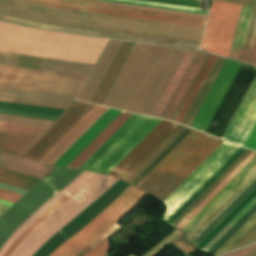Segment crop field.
Segmentation results:
<instances>
[{
	"instance_id": "8a807250",
	"label": "crop field",
	"mask_w": 256,
	"mask_h": 256,
	"mask_svg": "<svg viewBox=\"0 0 256 256\" xmlns=\"http://www.w3.org/2000/svg\"><path fill=\"white\" fill-rule=\"evenodd\" d=\"M0 13L51 25L199 44L204 29L0 0Z\"/></svg>"
},
{
	"instance_id": "ac0d7876",
	"label": "crop field",
	"mask_w": 256,
	"mask_h": 256,
	"mask_svg": "<svg viewBox=\"0 0 256 256\" xmlns=\"http://www.w3.org/2000/svg\"><path fill=\"white\" fill-rule=\"evenodd\" d=\"M98 174L83 171L62 191L51 197L40 206L7 240L0 248V256L10 248L11 244L46 210L62 197H71L85 187ZM117 179L99 174L85 188L69 198L45 219H43L27 237L10 253L9 256H32L57 231L65 226L89 204L101 196Z\"/></svg>"
},
{
	"instance_id": "34b2d1b8",
	"label": "crop field",
	"mask_w": 256,
	"mask_h": 256,
	"mask_svg": "<svg viewBox=\"0 0 256 256\" xmlns=\"http://www.w3.org/2000/svg\"><path fill=\"white\" fill-rule=\"evenodd\" d=\"M86 77L0 65V100L66 109Z\"/></svg>"
},
{
	"instance_id": "412701ff",
	"label": "crop field",
	"mask_w": 256,
	"mask_h": 256,
	"mask_svg": "<svg viewBox=\"0 0 256 256\" xmlns=\"http://www.w3.org/2000/svg\"><path fill=\"white\" fill-rule=\"evenodd\" d=\"M222 142L193 130L137 188L164 201Z\"/></svg>"
},
{
	"instance_id": "f4fd0767",
	"label": "crop field",
	"mask_w": 256,
	"mask_h": 256,
	"mask_svg": "<svg viewBox=\"0 0 256 256\" xmlns=\"http://www.w3.org/2000/svg\"><path fill=\"white\" fill-rule=\"evenodd\" d=\"M160 121L133 114L79 169L107 174Z\"/></svg>"
},
{
	"instance_id": "dd49c442",
	"label": "crop field",
	"mask_w": 256,
	"mask_h": 256,
	"mask_svg": "<svg viewBox=\"0 0 256 256\" xmlns=\"http://www.w3.org/2000/svg\"><path fill=\"white\" fill-rule=\"evenodd\" d=\"M146 193L130 186L85 227L49 256H76L84 247L122 218Z\"/></svg>"
},
{
	"instance_id": "e52e79f7",
	"label": "crop field",
	"mask_w": 256,
	"mask_h": 256,
	"mask_svg": "<svg viewBox=\"0 0 256 256\" xmlns=\"http://www.w3.org/2000/svg\"><path fill=\"white\" fill-rule=\"evenodd\" d=\"M241 6L240 4L213 1L201 50L228 57Z\"/></svg>"
},
{
	"instance_id": "d8731c3e",
	"label": "crop field",
	"mask_w": 256,
	"mask_h": 256,
	"mask_svg": "<svg viewBox=\"0 0 256 256\" xmlns=\"http://www.w3.org/2000/svg\"><path fill=\"white\" fill-rule=\"evenodd\" d=\"M52 7L80 10L122 17H130L172 24H180L204 28L206 19L181 15L158 13L144 10L121 8L107 5L84 3L70 0H24Z\"/></svg>"
},
{
	"instance_id": "5a996713",
	"label": "crop field",
	"mask_w": 256,
	"mask_h": 256,
	"mask_svg": "<svg viewBox=\"0 0 256 256\" xmlns=\"http://www.w3.org/2000/svg\"><path fill=\"white\" fill-rule=\"evenodd\" d=\"M239 146L224 141L164 202L165 220L204 183Z\"/></svg>"
},
{
	"instance_id": "3316defc",
	"label": "crop field",
	"mask_w": 256,
	"mask_h": 256,
	"mask_svg": "<svg viewBox=\"0 0 256 256\" xmlns=\"http://www.w3.org/2000/svg\"><path fill=\"white\" fill-rule=\"evenodd\" d=\"M94 107L75 101L21 156L40 161Z\"/></svg>"
},
{
	"instance_id": "28ad6ade",
	"label": "crop field",
	"mask_w": 256,
	"mask_h": 256,
	"mask_svg": "<svg viewBox=\"0 0 256 256\" xmlns=\"http://www.w3.org/2000/svg\"><path fill=\"white\" fill-rule=\"evenodd\" d=\"M240 66L241 63L226 59L217 78L193 119L190 128L204 132Z\"/></svg>"
},
{
	"instance_id": "d1516ede",
	"label": "crop field",
	"mask_w": 256,
	"mask_h": 256,
	"mask_svg": "<svg viewBox=\"0 0 256 256\" xmlns=\"http://www.w3.org/2000/svg\"><path fill=\"white\" fill-rule=\"evenodd\" d=\"M178 124L162 120L108 175L123 180L150 152H152Z\"/></svg>"
},
{
	"instance_id": "22f410ed",
	"label": "crop field",
	"mask_w": 256,
	"mask_h": 256,
	"mask_svg": "<svg viewBox=\"0 0 256 256\" xmlns=\"http://www.w3.org/2000/svg\"><path fill=\"white\" fill-rule=\"evenodd\" d=\"M256 122V77L235 112L222 139L243 146Z\"/></svg>"
},
{
	"instance_id": "cbeb9de0",
	"label": "crop field",
	"mask_w": 256,
	"mask_h": 256,
	"mask_svg": "<svg viewBox=\"0 0 256 256\" xmlns=\"http://www.w3.org/2000/svg\"><path fill=\"white\" fill-rule=\"evenodd\" d=\"M255 171L256 156L219 193H217L180 231L188 238Z\"/></svg>"
},
{
	"instance_id": "5142ce71",
	"label": "crop field",
	"mask_w": 256,
	"mask_h": 256,
	"mask_svg": "<svg viewBox=\"0 0 256 256\" xmlns=\"http://www.w3.org/2000/svg\"><path fill=\"white\" fill-rule=\"evenodd\" d=\"M191 131L179 125L124 181L136 187Z\"/></svg>"
},
{
	"instance_id": "d9b57169",
	"label": "crop field",
	"mask_w": 256,
	"mask_h": 256,
	"mask_svg": "<svg viewBox=\"0 0 256 256\" xmlns=\"http://www.w3.org/2000/svg\"><path fill=\"white\" fill-rule=\"evenodd\" d=\"M0 59L14 60V62L9 60H0V64L11 65L13 62L12 65L14 66L28 68L31 59L40 60L41 58L8 54V53H0ZM36 60L31 61L29 68L88 76L90 70L93 67V65L91 64H83V63L60 61V60L45 59V58H42L41 61H36Z\"/></svg>"
},
{
	"instance_id": "733c2abd",
	"label": "crop field",
	"mask_w": 256,
	"mask_h": 256,
	"mask_svg": "<svg viewBox=\"0 0 256 256\" xmlns=\"http://www.w3.org/2000/svg\"><path fill=\"white\" fill-rule=\"evenodd\" d=\"M108 109L96 106L69 134H67L41 161L53 164L80 136H82Z\"/></svg>"
},
{
	"instance_id": "4a817a6b",
	"label": "crop field",
	"mask_w": 256,
	"mask_h": 256,
	"mask_svg": "<svg viewBox=\"0 0 256 256\" xmlns=\"http://www.w3.org/2000/svg\"><path fill=\"white\" fill-rule=\"evenodd\" d=\"M0 19L12 21V22H16V23H21V24H25V25H30V26H34V27H39V28H43V29H49V30L65 31V32H72V33L103 36V37L118 38V39H125V40H133V41H141V42L156 43V44H163V45L194 48V49H198V46H199L196 44H188V43L142 38V37H135V36L120 35V34L89 31V30H82V29L51 26V25H45V24L36 23V22L28 21V20H23V19H19V18L6 16V15H1V14H0Z\"/></svg>"
},
{
	"instance_id": "bc2a9ffb",
	"label": "crop field",
	"mask_w": 256,
	"mask_h": 256,
	"mask_svg": "<svg viewBox=\"0 0 256 256\" xmlns=\"http://www.w3.org/2000/svg\"><path fill=\"white\" fill-rule=\"evenodd\" d=\"M120 112L109 109L54 165L66 167Z\"/></svg>"
},
{
	"instance_id": "214f88e0",
	"label": "crop field",
	"mask_w": 256,
	"mask_h": 256,
	"mask_svg": "<svg viewBox=\"0 0 256 256\" xmlns=\"http://www.w3.org/2000/svg\"><path fill=\"white\" fill-rule=\"evenodd\" d=\"M207 54L197 51L191 64L189 65L186 73L172 95L169 103L163 111L161 117L172 120L175 112L177 111L181 101L183 100L186 92L188 91L191 83L193 82L196 74L198 73L202 63L204 62Z\"/></svg>"
},
{
	"instance_id": "92a150f3",
	"label": "crop field",
	"mask_w": 256,
	"mask_h": 256,
	"mask_svg": "<svg viewBox=\"0 0 256 256\" xmlns=\"http://www.w3.org/2000/svg\"><path fill=\"white\" fill-rule=\"evenodd\" d=\"M0 167L16 170L40 179L55 168L45 163L32 161L3 151H0Z\"/></svg>"
},
{
	"instance_id": "dafd665d",
	"label": "crop field",
	"mask_w": 256,
	"mask_h": 256,
	"mask_svg": "<svg viewBox=\"0 0 256 256\" xmlns=\"http://www.w3.org/2000/svg\"><path fill=\"white\" fill-rule=\"evenodd\" d=\"M131 115L122 111L67 167L78 169Z\"/></svg>"
},
{
	"instance_id": "00972430",
	"label": "crop field",
	"mask_w": 256,
	"mask_h": 256,
	"mask_svg": "<svg viewBox=\"0 0 256 256\" xmlns=\"http://www.w3.org/2000/svg\"><path fill=\"white\" fill-rule=\"evenodd\" d=\"M133 45L134 43L123 42L110 68L108 69L96 93L94 94L91 103L101 105L104 97L106 96L109 88L111 87L114 79L116 78Z\"/></svg>"
},
{
	"instance_id": "a9b5d70f",
	"label": "crop field",
	"mask_w": 256,
	"mask_h": 256,
	"mask_svg": "<svg viewBox=\"0 0 256 256\" xmlns=\"http://www.w3.org/2000/svg\"><path fill=\"white\" fill-rule=\"evenodd\" d=\"M195 53L196 51L186 50L169 83L167 84L160 99L158 100L156 106L154 107L151 113L152 116L160 117L162 111L164 110L166 104L168 103L171 95L173 94L175 88L177 87L179 81L181 80Z\"/></svg>"
},
{
	"instance_id": "4177f3b9",
	"label": "crop field",
	"mask_w": 256,
	"mask_h": 256,
	"mask_svg": "<svg viewBox=\"0 0 256 256\" xmlns=\"http://www.w3.org/2000/svg\"><path fill=\"white\" fill-rule=\"evenodd\" d=\"M240 147L166 222L170 225L209 187L211 186L244 152Z\"/></svg>"
},
{
	"instance_id": "730fd06b",
	"label": "crop field",
	"mask_w": 256,
	"mask_h": 256,
	"mask_svg": "<svg viewBox=\"0 0 256 256\" xmlns=\"http://www.w3.org/2000/svg\"><path fill=\"white\" fill-rule=\"evenodd\" d=\"M256 241V213L214 254L217 256L227 250Z\"/></svg>"
},
{
	"instance_id": "eef30255",
	"label": "crop field",
	"mask_w": 256,
	"mask_h": 256,
	"mask_svg": "<svg viewBox=\"0 0 256 256\" xmlns=\"http://www.w3.org/2000/svg\"><path fill=\"white\" fill-rule=\"evenodd\" d=\"M225 59L224 58H220L217 57L214 65L212 66L208 76L206 77L203 85L201 86L198 94L196 95L193 103L191 104L187 114L185 115L182 124H185L187 126H189L192 118L194 117L197 109L199 108L201 102L203 101L206 93L208 92L211 84L213 83L216 75L218 74L220 68L222 67L223 63H224Z\"/></svg>"
},
{
	"instance_id": "ae1a2a85",
	"label": "crop field",
	"mask_w": 256,
	"mask_h": 256,
	"mask_svg": "<svg viewBox=\"0 0 256 256\" xmlns=\"http://www.w3.org/2000/svg\"><path fill=\"white\" fill-rule=\"evenodd\" d=\"M251 6H242L241 14L237 24L236 32L232 42L229 59L239 60L240 52L242 49L243 41L245 38L246 30L248 27L249 19L252 12Z\"/></svg>"
},
{
	"instance_id": "d3111659",
	"label": "crop field",
	"mask_w": 256,
	"mask_h": 256,
	"mask_svg": "<svg viewBox=\"0 0 256 256\" xmlns=\"http://www.w3.org/2000/svg\"><path fill=\"white\" fill-rule=\"evenodd\" d=\"M216 59V56H213L211 54H209L205 64L203 65L200 73L198 74L194 84L192 85L189 93L187 94L183 104L181 105L178 113L176 114L174 121H177L179 123H181L184 115L186 114L190 104L192 103L195 95L197 94L200 86L202 85L205 77L207 76L211 66L213 65L214 61Z\"/></svg>"
},
{
	"instance_id": "750c4746",
	"label": "crop field",
	"mask_w": 256,
	"mask_h": 256,
	"mask_svg": "<svg viewBox=\"0 0 256 256\" xmlns=\"http://www.w3.org/2000/svg\"><path fill=\"white\" fill-rule=\"evenodd\" d=\"M36 137L0 132V150L20 154Z\"/></svg>"
},
{
	"instance_id": "bd1437ed",
	"label": "crop field",
	"mask_w": 256,
	"mask_h": 256,
	"mask_svg": "<svg viewBox=\"0 0 256 256\" xmlns=\"http://www.w3.org/2000/svg\"><path fill=\"white\" fill-rule=\"evenodd\" d=\"M39 181L40 179L32 178L12 170L0 168V182L2 183L29 191Z\"/></svg>"
},
{
	"instance_id": "1d83c4d3",
	"label": "crop field",
	"mask_w": 256,
	"mask_h": 256,
	"mask_svg": "<svg viewBox=\"0 0 256 256\" xmlns=\"http://www.w3.org/2000/svg\"><path fill=\"white\" fill-rule=\"evenodd\" d=\"M252 152L215 190H213L176 228L179 230L218 192L220 191L254 156Z\"/></svg>"
},
{
	"instance_id": "120bbe31",
	"label": "crop field",
	"mask_w": 256,
	"mask_h": 256,
	"mask_svg": "<svg viewBox=\"0 0 256 256\" xmlns=\"http://www.w3.org/2000/svg\"><path fill=\"white\" fill-rule=\"evenodd\" d=\"M247 150L210 188H208L173 224L176 227L213 189H215L249 154Z\"/></svg>"
},
{
	"instance_id": "d32e631a",
	"label": "crop field",
	"mask_w": 256,
	"mask_h": 256,
	"mask_svg": "<svg viewBox=\"0 0 256 256\" xmlns=\"http://www.w3.org/2000/svg\"><path fill=\"white\" fill-rule=\"evenodd\" d=\"M0 109L54 115V116H58L60 113L64 111L62 109L24 105V104H17V103L2 102V101H0Z\"/></svg>"
},
{
	"instance_id": "5866460e",
	"label": "crop field",
	"mask_w": 256,
	"mask_h": 256,
	"mask_svg": "<svg viewBox=\"0 0 256 256\" xmlns=\"http://www.w3.org/2000/svg\"><path fill=\"white\" fill-rule=\"evenodd\" d=\"M46 128L0 122V131L38 136Z\"/></svg>"
},
{
	"instance_id": "028f5c9d",
	"label": "crop field",
	"mask_w": 256,
	"mask_h": 256,
	"mask_svg": "<svg viewBox=\"0 0 256 256\" xmlns=\"http://www.w3.org/2000/svg\"><path fill=\"white\" fill-rule=\"evenodd\" d=\"M77 1L92 2V3H99V4H107V5L129 7V8H136V9H144V10H151V11H158V12H166V13H173V14H181V15L203 17V18L207 17V15H204V14H196V13L174 11V10H167V9H159V8H152V7H145V6H137V5H130V4H122V3L100 1V0H77Z\"/></svg>"
},
{
	"instance_id": "e1f06a70",
	"label": "crop field",
	"mask_w": 256,
	"mask_h": 256,
	"mask_svg": "<svg viewBox=\"0 0 256 256\" xmlns=\"http://www.w3.org/2000/svg\"><path fill=\"white\" fill-rule=\"evenodd\" d=\"M108 1H115V2H122V3H130V4H137V5H145V6H152V7L167 8V9L207 14L206 12L200 11V9H197V8L160 4V3H153V2H146V1H138V0H108Z\"/></svg>"
},
{
	"instance_id": "0bd39190",
	"label": "crop field",
	"mask_w": 256,
	"mask_h": 256,
	"mask_svg": "<svg viewBox=\"0 0 256 256\" xmlns=\"http://www.w3.org/2000/svg\"><path fill=\"white\" fill-rule=\"evenodd\" d=\"M0 121L48 127L52 121L0 114Z\"/></svg>"
},
{
	"instance_id": "b80d0937",
	"label": "crop field",
	"mask_w": 256,
	"mask_h": 256,
	"mask_svg": "<svg viewBox=\"0 0 256 256\" xmlns=\"http://www.w3.org/2000/svg\"><path fill=\"white\" fill-rule=\"evenodd\" d=\"M256 204V197L218 234L216 235L203 249L207 252L249 209Z\"/></svg>"
},
{
	"instance_id": "c035e120",
	"label": "crop field",
	"mask_w": 256,
	"mask_h": 256,
	"mask_svg": "<svg viewBox=\"0 0 256 256\" xmlns=\"http://www.w3.org/2000/svg\"><path fill=\"white\" fill-rule=\"evenodd\" d=\"M255 212L256 205L208 253L213 255Z\"/></svg>"
},
{
	"instance_id": "c21b1889",
	"label": "crop field",
	"mask_w": 256,
	"mask_h": 256,
	"mask_svg": "<svg viewBox=\"0 0 256 256\" xmlns=\"http://www.w3.org/2000/svg\"><path fill=\"white\" fill-rule=\"evenodd\" d=\"M255 23H256V7L253 8L252 16H251V19H250L249 27H248V30H247L246 38H245V41H244L243 49H242L240 60H239L240 62H243V63L245 62V58H246V55H247V51H248V48H249V44H250V41H251V37H252V34H253Z\"/></svg>"
},
{
	"instance_id": "03da06ac",
	"label": "crop field",
	"mask_w": 256,
	"mask_h": 256,
	"mask_svg": "<svg viewBox=\"0 0 256 256\" xmlns=\"http://www.w3.org/2000/svg\"><path fill=\"white\" fill-rule=\"evenodd\" d=\"M67 198H62L55 205H53L47 212H45L38 220H36L12 245V247L6 252L5 256H8L9 253L24 239V237L50 212H52L55 208H57L60 204H62Z\"/></svg>"
},
{
	"instance_id": "b54c1fbb",
	"label": "crop field",
	"mask_w": 256,
	"mask_h": 256,
	"mask_svg": "<svg viewBox=\"0 0 256 256\" xmlns=\"http://www.w3.org/2000/svg\"><path fill=\"white\" fill-rule=\"evenodd\" d=\"M182 233L179 231L173 232L171 235H169L166 239H164L161 243H159L157 246H155L153 249H151L149 252H147L143 256H154L156 255L160 250H162L165 246H167L169 243L177 239Z\"/></svg>"
},
{
	"instance_id": "5d738f31",
	"label": "crop field",
	"mask_w": 256,
	"mask_h": 256,
	"mask_svg": "<svg viewBox=\"0 0 256 256\" xmlns=\"http://www.w3.org/2000/svg\"><path fill=\"white\" fill-rule=\"evenodd\" d=\"M119 225L115 224L111 228H109L106 232H104L100 237H98L94 242H92L89 246L83 249L77 256H83L88 251L93 249L96 245H98L103 239H105L108 235H110L115 229H117Z\"/></svg>"
},
{
	"instance_id": "d23c7cc5",
	"label": "crop field",
	"mask_w": 256,
	"mask_h": 256,
	"mask_svg": "<svg viewBox=\"0 0 256 256\" xmlns=\"http://www.w3.org/2000/svg\"><path fill=\"white\" fill-rule=\"evenodd\" d=\"M245 63L256 66V27H255V30H254V34H253V37H252V41H251V44H250V48H249L248 55H247Z\"/></svg>"
},
{
	"instance_id": "425ffa30",
	"label": "crop field",
	"mask_w": 256,
	"mask_h": 256,
	"mask_svg": "<svg viewBox=\"0 0 256 256\" xmlns=\"http://www.w3.org/2000/svg\"><path fill=\"white\" fill-rule=\"evenodd\" d=\"M109 243L108 238L102 241L98 246H96L93 250L87 253L85 256H104L108 253Z\"/></svg>"
},
{
	"instance_id": "25e5ab78",
	"label": "crop field",
	"mask_w": 256,
	"mask_h": 256,
	"mask_svg": "<svg viewBox=\"0 0 256 256\" xmlns=\"http://www.w3.org/2000/svg\"><path fill=\"white\" fill-rule=\"evenodd\" d=\"M244 147H247L249 149L256 151V124L254 125L250 135L248 136Z\"/></svg>"
},
{
	"instance_id": "73cf0c24",
	"label": "crop field",
	"mask_w": 256,
	"mask_h": 256,
	"mask_svg": "<svg viewBox=\"0 0 256 256\" xmlns=\"http://www.w3.org/2000/svg\"><path fill=\"white\" fill-rule=\"evenodd\" d=\"M152 1H160V2L181 4V5L196 6V7H199V4H200V1H197V0H152Z\"/></svg>"
},
{
	"instance_id": "89e229c0",
	"label": "crop field",
	"mask_w": 256,
	"mask_h": 256,
	"mask_svg": "<svg viewBox=\"0 0 256 256\" xmlns=\"http://www.w3.org/2000/svg\"><path fill=\"white\" fill-rule=\"evenodd\" d=\"M20 197H21V195H17V194L8 192V191L0 190V199H2V200H6V201L14 203Z\"/></svg>"
},
{
	"instance_id": "1f2cbd36",
	"label": "crop field",
	"mask_w": 256,
	"mask_h": 256,
	"mask_svg": "<svg viewBox=\"0 0 256 256\" xmlns=\"http://www.w3.org/2000/svg\"><path fill=\"white\" fill-rule=\"evenodd\" d=\"M0 188L8 190V191L15 192V193H18V194H21V195L26 193V191H24L22 189L15 188V187H12V186H9V185H6V184H0Z\"/></svg>"
},
{
	"instance_id": "dbb93151",
	"label": "crop field",
	"mask_w": 256,
	"mask_h": 256,
	"mask_svg": "<svg viewBox=\"0 0 256 256\" xmlns=\"http://www.w3.org/2000/svg\"><path fill=\"white\" fill-rule=\"evenodd\" d=\"M235 2L237 3H243V4H252V0H236Z\"/></svg>"
},
{
	"instance_id": "0fb4a251",
	"label": "crop field",
	"mask_w": 256,
	"mask_h": 256,
	"mask_svg": "<svg viewBox=\"0 0 256 256\" xmlns=\"http://www.w3.org/2000/svg\"><path fill=\"white\" fill-rule=\"evenodd\" d=\"M0 204H5V205H9V206L13 205L12 203L4 202V201H1V200H0Z\"/></svg>"
},
{
	"instance_id": "1d79db26",
	"label": "crop field",
	"mask_w": 256,
	"mask_h": 256,
	"mask_svg": "<svg viewBox=\"0 0 256 256\" xmlns=\"http://www.w3.org/2000/svg\"><path fill=\"white\" fill-rule=\"evenodd\" d=\"M5 211V209L0 208V215H2Z\"/></svg>"
},
{
	"instance_id": "9d1cf04e",
	"label": "crop field",
	"mask_w": 256,
	"mask_h": 256,
	"mask_svg": "<svg viewBox=\"0 0 256 256\" xmlns=\"http://www.w3.org/2000/svg\"><path fill=\"white\" fill-rule=\"evenodd\" d=\"M0 207L6 208V209L10 208L9 206H5V205H0Z\"/></svg>"
},
{
	"instance_id": "447ae74e",
	"label": "crop field",
	"mask_w": 256,
	"mask_h": 256,
	"mask_svg": "<svg viewBox=\"0 0 256 256\" xmlns=\"http://www.w3.org/2000/svg\"><path fill=\"white\" fill-rule=\"evenodd\" d=\"M252 5H255L256 6V0H253V4Z\"/></svg>"
},
{
	"instance_id": "0765c3eb",
	"label": "crop field",
	"mask_w": 256,
	"mask_h": 256,
	"mask_svg": "<svg viewBox=\"0 0 256 256\" xmlns=\"http://www.w3.org/2000/svg\"><path fill=\"white\" fill-rule=\"evenodd\" d=\"M226 1H232V2H234L235 0H226Z\"/></svg>"
},
{
	"instance_id": "db79e9e6",
	"label": "crop field",
	"mask_w": 256,
	"mask_h": 256,
	"mask_svg": "<svg viewBox=\"0 0 256 256\" xmlns=\"http://www.w3.org/2000/svg\"><path fill=\"white\" fill-rule=\"evenodd\" d=\"M252 256H256V253H254Z\"/></svg>"
},
{
	"instance_id": "7b73153f",
	"label": "crop field",
	"mask_w": 256,
	"mask_h": 256,
	"mask_svg": "<svg viewBox=\"0 0 256 256\" xmlns=\"http://www.w3.org/2000/svg\"><path fill=\"white\" fill-rule=\"evenodd\" d=\"M130 256H132V255H130Z\"/></svg>"
}]
</instances>
